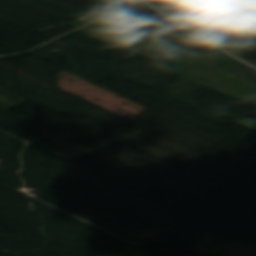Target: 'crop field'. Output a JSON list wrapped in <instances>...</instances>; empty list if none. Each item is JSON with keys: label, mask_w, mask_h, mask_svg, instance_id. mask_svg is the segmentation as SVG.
<instances>
[{"label": "crop field", "mask_w": 256, "mask_h": 256, "mask_svg": "<svg viewBox=\"0 0 256 256\" xmlns=\"http://www.w3.org/2000/svg\"><path fill=\"white\" fill-rule=\"evenodd\" d=\"M235 123L256 132V121H254L252 119L247 118L245 120L238 121Z\"/></svg>", "instance_id": "crop-field-1"}]
</instances>
